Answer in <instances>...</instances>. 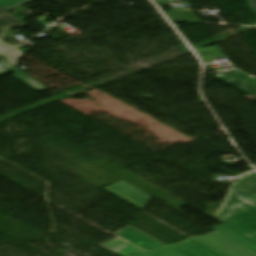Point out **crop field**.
<instances>
[{"mask_svg":"<svg viewBox=\"0 0 256 256\" xmlns=\"http://www.w3.org/2000/svg\"><path fill=\"white\" fill-rule=\"evenodd\" d=\"M249 238H251L252 240L256 241V234L252 235V236H249Z\"/></svg>","mask_w":256,"mask_h":256,"instance_id":"crop-field-16","label":"crop field"},{"mask_svg":"<svg viewBox=\"0 0 256 256\" xmlns=\"http://www.w3.org/2000/svg\"><path fill=\"white\" fill-rule=\"evenodd\" d=\"M249 2L256 9V0H249Z\"/></svg>","mask_w":256,"mask_h":256,"instance_id":"crop-field-15","label":"crop field"},{"mask_svg":"<svg viewBox=\"0 0 256 256\" xmlns=\"http://www.w3.org/2000/svg\"><path fill=\"white\" fill-rule=\"evenodd\" d=\"M32 0H0V6L10 11L20 5L28 3Z\"/></svg>","mask_w":256,"mask_h":256,"instance_id":"crop-field-12","label":"crop field"},{"mask_svg":"<svg viewBox=\"0 0 256 256\" xmlns=\"http://www.w3.org/2000/svg\"><path fill=\"white\" fill-rule=\"evenodd\" d=\"M143 211L153 196L125 183L124 181L102 189Z\"/></svg>","mask_w":256,"mask_h":256,"instance_id":"crop-field-4","label":"crop field"},{"mask_svg":"<svg viewBox=\"0 0 256 256\" xmlns=\"http://www.w3.org/2000/svg\"><path fill=\"white\" fill-rule=\"evenodd\" d=\"M249 236L256 233V172L236 181L212 217Z\"/></svg>","mask_w":256,"mask_h":256,"instance_id":"crop-field-1","label":"crop field"},{"mask_svg":"<svg viewBox=\"0 0 256 256\" xmlns=\"http://www.w3.org/2000/svg\"><path fill=\"white\" fill-rule=\"evenodd\" d=\"M194 239L225 256H256V252L217 231L203 237H194Z\"/></svg>","mask_w":256,"mask_h":256,"instance_id":"crop-field-3","label":"crop field"},{"mask_svg":"<svg viewBox=\"0 0 256 256\" xmlns=\"http://www.w3.org/2000/svg\"><path fill=\"white\" fill-rule=\"evenodd\" d=\"M217 231L221 232L222 234L240 242L241 244L253 249L256 251V242L252 241L251 239L247 238L245 235L235 231L234 229L226 226V225H219L213 227Z\"/></svg>","mask_w":256,"mask_h":256,"instance_id":"crop-field-9","label":"crop field"},{"mask_svg":"<svg viewBox=\"0 0 256 256\" xmlns=\"http://www.w3.org/2000/svg\"><path fill=\"white\" fill-rule=\"evenodd\" d=\"M169 246L188 256H224L191 238Z\"/></svg>","mask_w":256,"mask_h":256,"instance_id":"crop-field-6","label":"crop field"},{"mask_svg":"<svg viewBox=\"0 0 256 256\" xmlns=\"http://www.w3.org/2000/svg\"><path fill=\"white\" fill-rule=\"evenodd\" d=\"M25 52L14 48L4 52H0V57L4 58L8 62L12 63L16 67L18 66V60L24 56Z\"/></svg>","mask_w":256,"mask_h":256,"instance_id":"crop-field-11","label":"crop field"},{"mask_svg":"<svg viewBox=\"0 0 256 256\" xmlns=\"http://www.w3.org/2000/svg\"><path fill=\"white\" fill-rule=\"evenodd\" d=\"M216 77L256 97V78L238 69L220 72Z\"/></svg>","mask_w":256,"mask_h":256,"instance_id":"crop-field-5","label":"crop field"},{"mask_svg":"<svg viewBox=\"0 0 256 256\" xmlns=\"http://www.w3.org/2000/svg\"><path fill=\"white\" fill-rule=\"evenodd\" d=\"M124 243H126L124 240H122L120 238H117V239H115L113 241H110L108 243H105V244H103L101 246L106 248V249H108V250H110V249L118 247V246H120V245H122Z\"/></svg>","mask_w":256,"mask_h":256,"instance_id":"crop-field-13","label":"crop field"},{"mask_svg":"<svg viewBox=\"0 0 256 256\" xmlns=\"http://www.w3.org/2000/svg\"><path fill=\"white\" fill-rule=\"evenodd\" d=\"M26 26L28 25L24 23L22 20L8 13V11L0 7V38L1 39L5 37L6 28L8 27L24 28Z\"/></svg>","mask_w":256,"mask_h":256,"instance_id":"crop-field-8","label":"crop field"},{"mask_svg":"<svg viewBox=\"0 0 256 256\" xmlns=\"http://www.w3.org/2000/svg\"><path fill=\"white\" fill-rule=\"evenodd\" d=\"M205 63H213L218 57L225 56L219 46L196 50Z\"/></svg>","mask_w":256,"mask_h":256,"instance_id":"crop-field-10","label":"crop field"},{"mask_svg":"<svg viewBox=\"0 0 256 256\" xmlns=\"http://www.w3.org/2000/svg\"><path fill=\"white\" fill-rule=\"evenodd\" d=\"M114 234L149 252L147 253L126 243L118 248L110 250L120 256H186L168 245L166 246L129 226Z\"/></svg>","mask_w":256,"mask_h":256,"instance_id":"crop-field-2","label":"crop field"},{"mask_svg":"<svg viewBox=\"0 0 256 256\" xmlns=\"http://www.w3.org/2000/svg\"><path fill=\"white\" fill-rule=\"evenodd\" d=\"M10 71L16 73L14 78H16V79L20 80L21 82L27 84L28 86H30L32 89H34L37 92L42 91L44 89H47L45 86H43L42 84H40L39 82H37L36 80L31 78L30 76H28L24 72H22V71L16 69L15 67L1 61L0 62V76L5 75Z\"/></svg>","mask_w":256,"mask_h":256,"instance_id":"crop-field-7","label":"crop field"},{"mask_svg":"<svg viewBox=\"0 0 256 256\" xmlns=\"http://www.w3.org/2000/svg\"><path fill=\"white\" fill-rule=\"evenodd\" d=\"M11 47H14V46H12V45H10V44L0 40V50L11 48Z\"/></svg>","mask_w":256,"mask_h":256,"instance_id":"crop-field-14","label":"crop field"}]
</instances>
